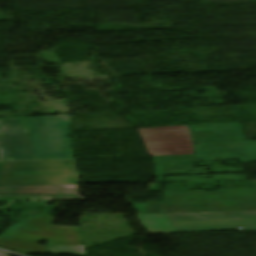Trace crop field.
<instances>
[{
	"label": "crop field",
	"instance_id": "1",
	"mask_svg": "<svg viewBox=\"0 0 256 256\" xmlns=\"http://www.w3.org/2000/svg\"><path fill=\"white\" fill-rule=\"evenodd\" d=\"M69 115L0 120V161L74 158Z\"/></svg>",
	"mask_w": 256,
	"mask_h": 256
},
{
	"label": "crop field",
	"instance_id": "2",
	"mask_svg": "<svg viewBox=\"0 0 256 256\" xmlns=\"http://www.w3.org/2000/svg\"><path fill=\"white\" fill-rule=\"evenodd\" d=\"M165 213L256 211V188L217 192L165 191ZM138 214L163 213V203L133 205Z\"/></svg>",
	"mask_w": 256,
	"mask_h": 256
},
{
	"label": "crop field",
	"instance_id": "3",
	"mask_svg": "<svg viewBox=\"0 0 256 256\" xmlns=\"http://www.w3.org/2000/svg\"><path fill=\"white\" fill-rule=\"evenodd\" d=\"M149 233L229 231L243 227L256 231V212L137 215Z\"/></svg>",
	"mask_w": 256,
	"mask_h": 256
},
{
	"label": "crop field",
	"instance_id": "4",
	"mask_svg": "<svg viewBox=\"0 0 256 256\" xmlns=\"http://www.w3.org/2000/svg\"><path fill=\"white\" fill-rule=\"evenodd\" d=\"M54 217L25 218L0 235V247L26 254H49L50 246L82 245L77 227L51 226ZM46 240L47 246L34 242Z\"/></svg>",
	"mask_w": 256,
	"mask_h": 256
},
{
	"label": "crop field",
	"instance_id": "5",
	"mask_svg": "<svg viewBox=\"0 0 256 256\" xmlns=\"http://www.w3.org/2000/svg\"><path fill=\"white\" fill-rule=\"evenodd\" d=\"M79 184L74 160L1 163L0 186Z\"/></svg>",
	"mask_w": 256,
	"mask_h": 256
},
{
	"label": "crop field",
	"instance_id": "6",
	"mask_svg": "<svg viewBox=\"0 0 256 256\" xmlns=\"http://www.w3.org/2000/svg\"><path fill=\"white\" fill-rule=\"evenodd\" d=\"M150 155L193 154L187 126L138 129Z\"/></svg>",
	"mask_w": 256,
	"mask_h": 256
},
{
	"label": "crop field",
	"instance_id": "7",
	"mask_svg": "<svg viewBox=\"0 0 256 256\" xmlns=\"http://www.w3.org/2000/svg\"><path fill=\"white\" fill-rule=\"evenodd\" d=\"M194 142L245 140L240 123L189 126Z\"/></svg>",
	"mask_w": 256,
	"mask_h": 256
},
{
	"label": "crop field",
	"instance_id": "8",
	"mask_svg": "<svg viewBox=\"0 0 256 256\" xmlns=\"http://www.w3.org/2000/svg\"><path fill=\"white\" fill-rule=\"evenodd\" d=\"M152 161L157 182H163V170L193 167V155L152 156Z\"/></svg>",
	"mask_w": 256,
	"mask_h": 256
},
{
	"label": "crop field",
	"instance_id": "9",
	"mask_svg": "<svg viewBox=\"0 0 256 256\" xmlns=\"http://www.w3.org/2000/svg\"><path fill=\"white\" fill-rule=\"evenodd\" d=\"M31 193H78V185L0 187V195Z\"/></svg>",
	"mask_w": 256,
	"mask_h": 256
},
{
	"label": "crop field",
	"instance_id": "10",
	"mask_svg": "<svg viewBox=\"0 0 256 256\" xmlns=\"http://www.w3.org/2000/svg\"><path fill=\"white\" fill-rule=\"evenodd\" d=\"M50 252L53 254H85L83 246L50 247Z\"/></svg>",
	"mask_w": 256,
	"mask_h": 256
},
{
	"label": "crop field",
	"instance_id": "11",
	"mask_svg": "<svg viewBox=\"0 0 256 256\" xmlns=\"http://www.w3.org/2000/svg\"><path fill=\"white\" fill-rule=\"evenodd\" d=\"M62 199H78V198H77V196H73V197H44V198H12V199H0V202L27 201V200H62Z\"/></svg>",
	"mask_w": 256,
	"mask_h": 256
},
{
	"label": "crop field",
	"instance_id": "12",
	"mask_svg": "<svg viewBox=\"0 0 256 256\" xmlns=\"http://www.w3.org/2000/svg\"><path fill=\"white\" fill-rule=\"evenodd\" d=\"M0 116H12L10 112H0Z\"/></svg>",
	"mask_w": 256,
	"mask_h": 256
},
{
	"label": "crop field",
	"instance_id": "13",
	"mask_svg": "<svg viewBox=\"0 0 256 256\" xmlns=\"http://www.w3.org/2000/svg\"><path fill=\"white\" fill-rule=\"evenodd\" d=\"M0 256H10V255H8L6 253H3V252H0Z\"/></svg>",
	"mask_w": 256,
	"mask_h": 256
}]
</instances>
